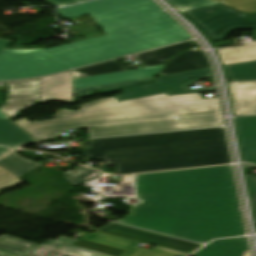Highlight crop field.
Listing matches in <instances>:
<instances>
[{
    "mask_svg": "<svg viewBox=\"0 0 256 256\" xmlns=\"http://www.w3.org/2000/svg\"><path fill=\"white\" fill-rule=\"evenodd\" d=\"M45 1L52 3V4H56L58 6H65V5L83 2V1H87V0H45Z\"/></svg>",
    "mask_w": 256,
    "mask_h": 256,
    "instance_id": "obj_39",
    "label": "crop field"
},
{
    "mask_svg": "<svg viewBox=\"0 0 256 256\" xmlns=\"http://www.w3.org/2000/svg\"><path fill=\"white\" fill-rule=\"evenodd\" d=\"M33 141L35 140L16 125L0 120V146L17 148Z\"/></svg>",
    "mask_w": 256,
    "mask_h": 256,
    "instance_id": "obj_22",
    "label": "crop field"
},
{
    "mask_svg": "<svg viewBox=\"0 0 256 256\" xmlns=\"http://www.w3.org/2000/svg\"><path fill=\"white\" fill-rule=\"evenodd\" d=\"M235 116L256 115V81L229 82Z\"/></svg>",
    "mask_w": 256,
    "mask_h": 256,
    "instance_id": "obj_12",
    "label": "crop field"
},
{
    "mask_svg": "<svg viewBox=\"0 0 256 256\" xmlns=\"http://www.w3.org/2000/svg\"><path fill=\"white\" fill-rule=\"evenodd\" d=\"M210 237L222 238L244 235L242 218L195 224Z\"/></svg>",
    "mask_w": 256,
    "mask_h": 256,
    "instance_id": "obj_20",
    "label": "crop field"
},
{
    "mask_svg": "<svg viewBox=\"0 0 256 256\" xmlns=\"http://www.w3.org/2000/svg\"><path fill=\"white\" fill-rule=\"evenodd\" d=\"M49 241H51V240H48L42 246H45V247H48L51 249H53V248L56 249L58 247L59 249L57 251H60V252L66 253V254H71V255H74L78 251L82 250V251L91 253L90 256H109V255H105V254L91 251L88 249L73 246L77 241L67 239L63 236H61L57 240L53 241V243H50Z\"/></svg>",
    "mask_w": 256,
    "mask_h": 256,
    "instance_id": "obj_29",
    "label": "crop field"
},
{
    "mask_svg": "<svg viewBox=\"0 0 256 256\" xmlns=\"http://www.w3.org/2000/svg\"><path fill=\"white\" fill-rule=\"evenodd\" d=\"M246 248L221 241H214L192 256H243Z\"/></svg>",
    "mask_w": 256,
    "mask_h": 256,
    "instance_id": "obj_24",
    "label": "crop field"
},
{
    "mask_svg": "<svg viewBox=\"0 0 256 256\" xmlns=\"http://www.w3.org/2000/svg\"><path fill=\"white\" fill-rule=\"evenodd\" d=\"M91 16L98 22L99 25L138 16L122 7L91 14Z\"/></svg>",
    "mask_w": 256,
    "mask_h": 256,
    "instance_id": "obj_30",
    "label": "crop field"
},
{
    "mask_svg": "<svg viewBox=\"0 0 256 256\" xmlns=\"http://www.w3.org/2000/svg\"><path fill=\"white\" fill-rule=\"evenodd\" d=\"M10 85L8 103L2 110L12 119L21 109L40 99L38 79L7 82Z\"/></svg>",
    "mask_w": 256,
    "mask_h": 256,
    "instance_id": "obj_11",
    "label": "crop field"
},
{
    "mask_svg": "<svg viewBox=\"0 0 256 256\" xmlns=\"http://www.w3.org/2000/svg\"><path fill=\"white\" fill-rule=\"evenodd\" d=\"M137 195L156 194L193 223L242 217L231 166L136 176Z\"/></svg>",
    "mask_w": 256,
    "mask_h": 256,
    "instance_id": "obj_2",
    "label": "crop field"
},
{
    "mask_svg": "<svg viewBox=\"0 0 256 256\" xmlns=\"http://www.w3.org/2000/svg\"><path fill=\"white\" fill-rule=\"evenodd\" d=\"M153 78L154 77L135 80V81H129V82H123L118 84L106 85V86L93 87V88L83 89V90H73V94L76 98H79V97L87 96L90 92L95 90L117 91V90H120L121 87L152 82Z\"/></svg>",
    "mask_w": 256,
    "mask_h": 256,
    "instance_id": "obj_31",
    "label": "crop field"
},
{
    "mask_svg": "<svg viewBox=\"0 0 256 256\" xmlns=\"http://www.w3.org/2000/svg\"><path fill=\"white\" fill-rule=\"evenodd\" d=\"M12 150H14V149H12V148H2V147H0V157H2V156H4L5 154L11 152Z\"/></svg>",
    "mask_w": 256,
    "mask_h": 256,
    "instance_id": "obj_42",
    "label": "crop field"
},
{
    "mask_svg": "<svg viewBox=\"0 0 256 256\" xmlns=\"http://www.w3.org/2000/svg\"><path fill=\"white\" fill-rule=\"evenodd\" d=\"M197 48L198 47L193 48L177 57L172 58L161 71L160 75L210 67L204 52L196 51L195 49Z\"/></svg>",
    "mask_w": 256,
    "mask_h": 256,
    "instance_id": "obj_16",
    "label": "crop field"
},
{
    "mask_svg": "<svg viewBox=\"0 0 256 256\" xmlns=\"http://www.w3.org/2000/svg\"><path fill=\"white\" fill-rule=\"evenodd\" d=\"M143 0H97L85 4H80L64 9L57 10L58 14L63 18L68 19L72 17L82 16L86 14H91L115 7H119L121 5L134 3Z\"/></svg>",
    "mask_w": 256,
    "mask_h": 256,
    "instance_id": "obj_19",
    "label": "crop field"
},
{
    "mask_svg": "<svg viewBox=\"0 0 256 256\" xmlns=\"http://www.w3.org/2000/svg\"><path fill=\"white\" fill-rule=\"evenodd\" d=\"M255 220H256V217H255Z\"/></svg>",
    "mask_w": 256,
    "mask_h": 256,
    "instance_id": "obj_47",
    "label": "crop field"
},
{
    "mask_svg": "<svg viewBox=\"0 0 256 256\" xmlns=\"http://www.w3.org/2000/svg\"><path fill=\"white\" fill-rule=\"evenodd\" d=\"M34 244L21 241L9 236L0 237V256H23L28 250H30ZM54 250L37 246L34 247L25 256H49ZM60 252H55L51 256H58ZM60 256H66V254H61Z\"/></svg>",
    "mask_w": 256,
    "mask_h": 256,
    "instance_id": "obj_18",
    "label": "crop field"
},
{
    "mask_svg": "<svg viewBox=\"0 0 256 256\" xmlns=\"http://www.w3.org/2000/svg\"><path fill=\"white\" fill-rule=\"evenodd\" d=\"M84 240L127 250L121 256H182V254L157 249L155 247L150 250L132 248L135 244H137L136 242L111 235L100 234L97 232L91 233Z\"/></svg>",
    "mask_w": 256,
    "mask_h": 256,
    "instance_id": "obj_15",
    "label": "crop field"
},
{
    "mask_svg": "<svg viewBox=\"0 0 256 256\" xmlns=\"http://www.w3.org/2000/svg\"><path fill=\"white\" fill-rule=\"evenodd\" d=\"M137 198L141 201L140 204L132 206L124 219L115 222L197 243L212 240L156 195L137 196Z\"/></svg>",
    "mask_w": 256,
    "mask_h": 256,
    "instance_id": "obj_5",
    "label": "crop field"
},
{
    "mask_svg": "<svg viewBox=\"0 0 256 256\" xmlns=\"http://www.w3.org/2000/svg\"><path fill=\"white\" fill-rule=\"evenodd\" d=\"M169 169H173V168L171 165V161L167 160V161L115 167V174H131V173L169 170Z\"/></svg>",
    "mask_w": 256,
    "mask_h": 256,
    "instance_id": "obj_27",
    "label": "crop field"
},
{
    "mask_svg": "<svg viewBox=\"0 0 256 256\" xmlns=\"http://www.w3.org/2000/svg\"><path fill=\"white\" fill-rule=\"evenodd\" d=\"M11 40L0 39V53L6 49Z\"/></svg>",
    "mask_w": 256,
    "mask_h": 256,
    "instance_id": "obj_41",
    "label": "crop field"
},
{
    "mask_svg": "<svg viewBox=\"0 0 256 256\" xmlns=\"http://www.w3.org/2000/svg\"><path fill=\"white\" fill-rule=\"evenodd\" d=\"M80 111H56L55 119L27 122L15 121L38 139L54 136L69 129L134 123L166 119L165 112L184 113L220 110L217 98L201 99L199 94L169 96L159 94L119 103L106 98L78 106Z\"/></svg>",
    "mask_w": 256,
    "mask_h": 256,
    "instance_id": "obj_3",
    "label": "crop field"
},
{
    "mask_svg": "<svg viewBox=\"0 0 256 256\" xmlns=\"http://www.w3.org/2000/svg\"><path fill=\"white\" fill-rule=\"evenodd\" d=\"M96 231L112 234L115 236L179 251L185 254H190L195 249L201 247L202 245L191 243L188 241L151 233L143 230H138L114 223H107L103 227Z\"/></svg>",
    "mask_w": 256,
    "mask_h": 256,
    "instance_id": "obj_9",
    "label": "crop field"
},
{
    "mask_svg": "<svg viewBox=\"0 0 256 256\" xmlns=\"http://www.w3.org/2000/svg\"><path fill=\"white\" fill-rule=\"evenodd\" d=\"M76 255H77V256H89L90 254L80 251V252L77 253Z\"/></svg>",
    "mask_w": 256,
    "mask_h": 256,
    "instance_id": "obj_45",
    "label": "crop field"
},
{
    "mask_svg": "<svg viewBox=\"0 0 256 256\" xmlns=\"http://www.w3.org/2000/svg\"><path fill=\"white\" fill-rule=\"evenodd\" d=\"M158 9V14H159V18H160V22L161 24L166 27V26H170L173 24H177V22L175 20H173L167 13H165L161 8H159L157 6Z\"/></svg>",
    "mask_w": 256,
    "mask_h": 256,
    "instance_id": "obj_37",
    "label": "crop field"
},
{
    "mask_svg": "<svg viewBox=\"0 0 256 256\" xmlns=\"http://www.w3.org/2000/svg\"><path fill=\"white\" fill-rule=\"evenodd\" d=\"M41 103L60 100L72 102L71 71L39 79Z\"/></svg>",
    "mask_w": 256,
    "mask_h": 256,
    "instance_id": "obj_14",
    "label": "crop field"
},
{
    "mask_svg": "<svg viewBox=\"0 0 256 256\" xmlns=\"http://www.w3.org/2000/svg\"><path fill=\"white\" fill-rule=\"evenodd\" d=\"M178 119L89 128L90 138L165 132L222 125L220 111L177 114Z\"/></svg>",
    "mask_w": 256,
    "mask_h": 256,
    "instance_id": "obj_6",
    "label": "crop field"
},
{
    "mask_svg": "<svg viewBox=\"0 0 256 256\" xmlns=\"http://www.w3.org/2000/svg\"><path fill=\"white\" fill-rule=\"evenodd\" d=\"M101 173L96 172L94 170L88 169L86 167L80 166L73 172L69 171L64 176L68 179L72 184L78 185L83 182H88L99 177Z\"/></svg>",
    "mask_w": 256,
    "mask_h": 256,
    "instance_id": "obj_33",
    "label": "crop field"
},
{
    "mask_svg": "<svg viewBox=\"0 0 256 256\" xmlns=\"http://www.w3.org/2000/svg\"><path fill=\"white\" fill-rule=\"evenodd\" d=\"M141 16L103 25L107 35L26 55L0 54V80L30 78L101 62L184 41L190 36L179 24H157L156 4L147 0L125 5Z\"/></svg>",
    "mask_w": 256,
    "mask_h": 256,
    "instance_id": "obj_1",
    "label": "crop field"
},
{
    "mask_svg": "<svg viewBox=\"0 0 256 256\" xmlns=\"http://www.w3.org/2000/svg\"><path fill=\"white\" fill-rule=\"evenodd\" d=\"M181 141L225 136L223 128L177 132Z\"/></svg>",
    "mask_w": 256,
    "mask_h": 256,
    "instance_id": "obj_32",
    "label": "crop field"
},
{
    "mask_svg": "<svg viewBox=\"0 0 256 256\" xmlns=\"http://www.w3.org/2000/svg\"><path fill=\"white\" fill-rule=\"evenodd\" d=\"M244 13H256V0H216Z\"/></svg>",
    "mask_w": 256,
    "mask_h": 256,
    "instance_id": "obj_35",
    "label": "crop field"
},
{
    "mask_svg": "<svg viewBox=\"0 0 256 256\" xmlns=\"http://www.w3.org/2000/svg\"><path fill=\"white\" fill-rule=\"evenodd\" d=\"M175 8L179 7V11L184 12L188 10H193L201 7H206L210 5L219 4L218 2L212 0H167Z\"/></svg>",
    "mask_w": 256,
    "mask_h": 256,
    "instance_id": "obj_34",
    "label": "crop field"
},
{
    "mask_svg": "<svg viewBox=\"0 0 256 256\" xmlns=\"http://www.w3.org/2000/svg\"><path fill=\"white\" fill-rule=\"evenodd\" d=\"M254 206V215L256 216V197H251Z\"/></svg>",
    "mask_w": 256,
    "mask_h": 256,
    "instance_id": "obj_44",
    "label": "crop field"
},
{
    "mask_svg": "<svg viewBox=\"0 0 256 256\" xmlns=\"http://www.w3.org/2000/svg\"><path fill=\"white\" fill-rule=\"evenodd\" d=\"M184 75H212V73L211 69L208 68L160 76L155 80V83L123 89L125 93L115 95L114 98L117 99L119 102H122L159 93H167V95L186 94Z\"/></svg>",
    "mask_w": 256,
    "mask_h": 256,
    "instance_id": "obj_8",
    "label": "crop field"
},
{
    "mask_svg": "<svg viewBox=\"0 0 256 256\" xmlns=\"http://www.w3.org/2000/svg\"><path fill=\"white\" fill-rule=\"evenodd\" d=\"M125 70L126 69L115 60V61H111V62H107V63L95 65V66L74 70L72 71V79L125 71Z\"/></svg>",
    "mask_w": 256,
    "mask_h": 256,
    "instance_id": "obj_26",
    "label": "crop field"
},
{
    "mask_svg": "<svg viewBox=\"0 0 256 256\" xmlns=\"http://www.w3.org/2000/svg\"><path fill=\"white\" fill-rule=\"evenodd\" d=\"M221 241H225V242H228V243H232V244H235V245H239V246L248 248L246 238L224 239V240H221Z\"/></svg>",
    "mask_w": 256,
    "mask_h": 256,
    "instance_id": "obj_40",
    "label": "crop field"
},
{
    "mask_svg": "<svg viewBox=\"0 0 256 256\" xmlns=\"http://www.w3.org/2000/svg\"><path fill=\"white\" fill-rule=\"evenodd\" d=\"M235 120L244 162L256 164V117Z\"/></svg>",
    "mask_w": 256,
    "mask_h": 256,
    "instance_id": "obj_17",
    "label": "crop field"
},
{
    "mask_svg": "<svg viewBox=\"0 0 256 256\" xmlns=\"http://www.w3.org/2000/svg\"><path fill=\"white\" fill-rule=\"evenodd\" d=\"M218 52L225 65L254 61L256 60V43H250L244 47L222 49Z\"/></svg>",
    "mask_w": 256,
    "mask_h": 256,
    "instance_id": "obj_23",
    "label": "crop field"
},
{
    "mask_svg": "<svg viewBox=\"0 0 256 256\" xmlns=\"http://www.w3.org/2000/svg\"><path fill=\"white\" fill-rule=\"evenodd\" d=\"M0 165L19 177L35 169L41 164L27 161L13 152L4 159L0 160Z\"/></svg>",
    "mask_w": 256,
    "mask_h": 256,
    "instance_id": "obj_25",
    "label": "crop field"
},
{
    "mask_svg": "<svg viewBox=\"0 0 256 256\" xmlns=\"http://www.w3.org/2000/svg\"><path fill=\"white\" fill-rule=\"evenodd\" d=\"M216 47H219V46H227V45H230L229 41H226V42H223V43H215Z\"/></svg>",
    "mask_w": 256,
    "mask_h": 256,
    "instance_id": "obj_43",
    "label": "crop field"
},
{
    "mask_svg": "<svg viewBox=\"0 0 256 256\" xmlns=\"http://www.w3.org/2000/svg\"><path fill=\"white\" fill-rule=\"evenodd\" d=\"M248 189L251 196H256V175L255 176H246Z\"/></svg>",
    "mask_w": 256,
    "mask_h": 256,
    "instance_id": "obj_38",
    "label": "crop field"
},
{
    "mask_svg": "<svg viewBox=\"0 0 256 256\" xmlns=\"http://www.w3.org/2000/svg\"><path fill=\"white\" fill-rule=\"evenodd\" d=\"M180 141L176 132L90 140L85 152Z\"/></svg>",
    "mask_w": 256,
    "mask_h": 256,
    "instance_id": "obj_10",
    "label": "crop field"
},
{
    "mask_svg": "<svg viewBox=\"0 0 256 256\" xmlns=\"http://www.w3.org/2000/svg\"><path fill=\"white\" fill-rule=\"evenodd\" d=\"M85 159L102 157L104 165H127L171 159L173 168L230 163L225 137L145 147L83 153Z\"/></svg>",
    "mask_w": 256,
    "mask_h": 256,
    "instance_id": "obj_4",
    "label": "crop field"
},
{
    "mask_svg": "<svg viewBox=\"0 0 256 256\" xmlns=\"http://www.w3.org/2000/svg\"><path fill=\"white\" fill-rule=\"evenodd\" d=\"M211 10L212 13L205 11ZM201 28L212 40L221 41L233 29L256 28V17L248 19L244 14L223 4L183 13Z\"/></svg>",
    "mask_w": 256,
    "mask_h": 256,
    "instance_id": "obj_7",
    "label": "crop field"
},
{
    "mask_svg": "<svg viewBox=\"0 0 256 256\" xmlns=\"http://www.w3.org/2000/svg\"><path fill=\"white\" fill-rule=\"evenodd\" d=\"M195 44L194 42L183 43V44L135 55L134 57L138 59L146 67L162 65V64H166L172 56L190 47L195 46Z\"/></svg>",
    "mask_w": 256,
    "mask_h": 256,
    "instance_id": "obj_21",
    "label": "crop field"
},
{
    "mask_svg": "<svg viewBox=\"0 0 256 256\" xmlns=\"http://www.w3.org/2000/svg\"><path fill=\"white\" fill-rule=\"evenodd\" d=\"M225 68L231 81L256 80V61L225 66Z\"/></svg>",
    "mask_w": 256,
    "mask_h": 256,
    "instance_id": "obj_28",
    "label": "crop field"
},
{
    "mask_svg": "<svg viewBox=\"0 0 256 256\" xmlns=\"http://www.w3.org/2000/svg\"><path fill=\"white\" fill-rule=\"evenodd\" d=\"M244 256H249V255H248V251H246V253H245V255H244Z\"/></svg>",
    "mask_w": 256,
    "mask_h": 256,
    "instance_id": "obj_46",
    "label": "crop field"
},
{
    "mask_svg": "<svg viewBox=\"0 0 256 256\" xmlns=\"http://www.w3.org/2000/svg\"><path fill=\"white\" fill-rule=\"evenodd\" d=\"M189 78H193L194 80L189 81L188 80ZM210 78H213V77L212 76H185L186 86L188 84H192L194 82H197V81H200V80H204V79H210ZM186 90H187V88H186ZM210 91H216V87L205 88V89H201V90H191V91L187 90V94H190V93H203V92H210Z\"/></svg>",
    "mask_w": 256,
    "mask_h": 256,
    "instance_id": "obj_36",
    "label": "crop field"
},
{
    "mask_svg": "<svg viewBox=\"0 0 256 256\" xmlns=\"http://www.w3.org/2000/svg\"><path fill=\"white\" fill-rule=\"evenodd\" d=\"M163 66L164 65L83 79H75L72 80L73 89H82L92 86L106 85L140 78L152 77L155 76Z\"/></svg>",
    "mask_w": 256,
    "mask_h": 256,
    "instance_id": "obj_13",
    "label": "crop field"
}]
</instances>
